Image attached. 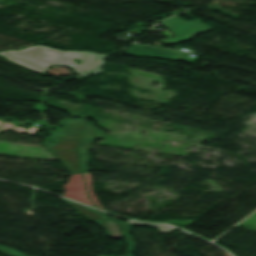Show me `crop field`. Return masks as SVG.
<instances>
[{"label":"crop field","mask_w":256,"mask_h":256,"mask_svg":"<svg viewBox=\"0 0 256 256\" xmlns=\"http://www.w3.org/2000/svg\"><path fill=\"white\" fill-rule=\"evenodd\" d=\"M162 24L177 36L175 38L163 40L170 44L190 40L197 34L211 30L197 19L185 22L176 16L162 22Z\"/></svg>","instance_id":"34b2d1b8"},{"label":"crop field","mask_w":256,"mask_h":256,"mask_svg":"<svg viewBox=\"0 0 256 256\" xmlns=\"http://www.w3.org/2000/svg\"><path fill=\"white\" fill-rule=\"evenodd\" d=\"M127 239V244H128V249L134 251V249L136 248V243L133 240V238L129 235L133 222H121V221H117ZM136 224H142V225H148V226H153V227H157L159 229L160 232H164V233H168L170 234L171 232H173L176 228L171 227V226H167V225H158V224H145V223H136Z\"/></svg>","instance_id":"dd49c442"},{"label":"crop field","mask_w":256,"mask_h":256,"mask_svg":"<svg viewBox=\"0 0 256 256\" xmlns=\"http://www.w3.org/2000/svg\"><path fill=\"white\" fill-rule=\"evenodd\" d=\"M135 47L141 48V49H145V50H149V51L156 52V53H160V54H163V55L175 57V58H177V60H180V59L183 57V55H181V54H179V53H176V52H172V51L165 50V49H159V48H156V47L138 45V44H135V46H134L133 48H131V49H130L128 52H126V53H127V54H135V55L150 56V55H147V54H143V53L134 51V50H138V51H142V52H145V53L157 55V56H159V58L171 59V58H168V57H165V56H161V55L154 54V53H151V52H147V51H144V50H141V49H137V48H135ZM132 49H134V50H132ZM151 57H153V56H151Z\"/></svg>","instance_id":"e52e79f7"},{"label":"crop field","mask_w":256,"mask_h":256,"mask_svg":"<svg viewBox=\"0 0 256 256\" xmlns=\"http://www.w3.org/2000/svg\"><path fill=\"white\" fill-rule=\"evenodd\" d=\"M132 251L127 250V254L125 256H132Z\"/></svg>","instance_id":"22f410ed"},{"label":"crop field","mask_w":256,"mask_h":256,"mask_svg":"<svg viewBox=\"0 0 256 256\" xmlns=\"http://www.w3.org/2000/svg\"><path fill=\"white\" fill-rule=\"evenodd\" d=\"M4 128H14L18 133H23V132H27V133H31L33 134L36 130H38V128L35 127H30L28 130L25 128H20L18 125L16 124H12V123H7V122H3V126L1 128L0 131H3Z\"/></svg>","instance_id":"28ad6ade"},{"label":"crop field","mask_w":256,"mask_h":256,"mask_svg":"<svg viewBox=\"0 0 256 256\" xmlns=\"http://www.w3.org/2000/svg\"><path fill=\"white\" fill-rule=\"evenodd\" d=\"M1 123V122H0Z\"/></svg>","instance_id":"cbeb9de0"},{"label":"crop field","mask_w":256,"mask_h":256,"mask_svg":"<svg viewBox=\"0 0 256 256\" xmlns=\"http://www.w3.org/2000/svg\"><path fill=\"white\" fill-rule=\"evenodd\" d=\"M86 119L63 120L61 124L68 127L69 132L54 131L47 140L53 144H44L45 148L52 152V156L59 159L66 170L71 173L80 172V164L77 146L83 135Z\"/></svg>","instance_id":"ac0d7876"},{"label":"crop field","mask_w":256,"mask_h":256,"mask_svg":"<svg viewBox=\"0 0 256 256\" xmlns=\"http://www.w3.org/2000/svg\"><path fill=\"white\" fill-rule=\"evenodd\" d=\"M61 200H63L64 202H66L68 205H72L78 212H80L81 214H83L84 216H86L87 218L91 219V220H97V219H106L108 217H106L103 214H100L94 210H91L90 208L74 203L72 201L66 200L61 198Z\"/></svg>","instance_id":"d8731c3e"},{"label":"crop field","mask_w":256,"mask_h":256,"mask_svg":"<svg viewBox=\"0 0 256 256\" xmlns=\"http://www.w3.org/2000/svg\"><path fill=\"white\" fill-rule=\"evenodd\" d=\"M0 252H3L5 254L11 255V256H24L22 255L20 252L13 250L11 248L5 247V246H1L0 245Z\"/></svg>","instance_id":"d1516ede"},{"label":"crop field","mask_w":256,"mask_h":256,"mask_svg":"<svg viewBox=\"0 0 256 256\" xmlns=\"http://www.w3.org/2000/svg\"><path fill=\"white\" fill-rule=\"evenodd\" d=\"M105 135L106 133L94 128L92 125H87L84 141L80 146L83 172H86V162L89 161L88 153L93 139L103 138Z\"/></svg>","instance_id":"f4fd0767"},{"label":"crop field","mask_w":256,"mask_h":256,"mask_svg":"<svg viewBox=\"0 0 256 256\" xmlns=\"http://www.w3.org/2000/svg\"><path fill=\"white\" fill-rule=\"evenodd\" d=\"M83 174L86 182L87 191L91 200L97 205L98 208L103 209L102 206L98 203L97 199L95 198L92 192V180H91L90 174L89 173H83Z\"/></svg>","instance_id":"3316defc"},{"label":"crop field","mask_w":256,"mask_h":256,"mask_svg":"<svg viewBox=\"0 0 256 256\" xmlns=\"http://www.w3.org/2000/svg\"><path fill=\"white\" fill-rule=\"evenodd\" d=\"M63 188L65 189L63 196L94 206L86 199L81 174L72 175Z\"/></svg>","instance_id":"412701ff"},{"label":"crop field","mask_w":256,"mask_h":256,"mask_svg":"<svg viewBox=\"0 0 256 256\" xmlns=\"http://www.w3.org/2000/svg\"><path fill=\"white\" fill-rule=\"evenodd\" d=\"M96 225L103 228L108 237L118 238L121 237L116 223L111 219L93 221Z\"/></svg>","instance_id":"5a996713"},{"label":"crop field","mask_w":256,"mask_h":256,"mask_svg":"<svg viewBox=\"0 0 256 256\" xmlns=\"http://www.w3.org/2000/svg\"><path fill=\"white\" fill-rule=\"evenodd\" d=\"M49 50L50 47L33 46L21 51L0 52V55L7 57L9 61L33 69L40 73H42L45 68L51 65L61 64L70 65L79 75L89 73L88 71L90 67H92L90 72L97 70L104 56L91 52H70L54 48H51L50 51ZM75 57L81 59L80 65H77L72 60V58ZM11 58L16 60H11ZM56 60L58 61L55 63ZM82 70L84 71L82 72Z\"/></svg>","instance_id":"8a807250"}]
</instances>
